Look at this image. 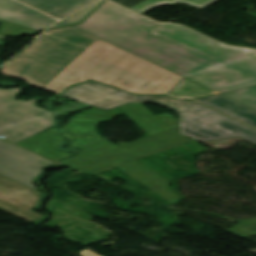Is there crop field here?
<instances>
[{
  "mask_svg": "<svg viewBox=\"0 0 256 256\" xmlns=\"http://www.w3.org/2000/svg\"><path fill=\"white\" fill-rule=\"evenodd\" d=\"M75 27L217 93L256 84V50L155 23L108 0Z\"/></svg>",
  "mask_w": 256,
  "mask_h": 256,
  "instance_id": "crop-field-1",
  "label": "crop field"
},
{
  "mask_svg": "<svg viewBox=\"0 0 256 256\" xmlns=\"http://www.w3.org/2000/svg\"><path fill=\"white\" fill-rule=\"evenodd\" d=\"M119 108L149 137L118 147L95 132V127L105 120L70 119L61 131L70 137L79 154L60 163L94 175L117 167L170 203L181 201L182 198L168 188L169 182L136 160L191 139L178 133L176 118L168 114L154 116L142 104Z\"/></svg>",
  "mask_w": 256,
  "mask_h": 256,
  "instance_id": "crop-field-2",
  "label": "crop field"
},
{
  "mask_svg": "<svg viewBox=\"0 0 256 256\" xmlns=\"http://www.w3.org/2000/svg\"><path fill=\"white\" fill-rule=\"evenodd\" d=\"M182 79L98 39L43 89L60 94L71 84L94 80L135 94H167Z\"/></svg>",
  "mask_w": 256,
  "mask_h": 256,
  "instance_id": "crop-field-3",
  "label": "crop field"
},
{
  "mask_svg": "<svg viewBox=\"0 0 256 256\" xmlns=\"http://www.w3.org/2000/svg\"><path fill=\"white\" fill-rule=\"evenodd\" d=\"M41 42L34 41L13 57L0 71L42 88L97 38L74 27L48 30Z\"/></svg>",
  "mask_w": 256,
  "mask_h": 256,
  "instance_id": "crop-field-4",
  "label": "crop field"
},
{
  "mask_svg": "<svg viewBox=\"0 0 256 256\" xmlns=\"http://www.w3.org/2000/svg\"><path fill=\"white\" fill-rule=\"evenodd\" d=\"M20 88H0V135L17 143L54 125L52 114L38 100L15 101Z\"/></svg>",
  "mask_w": 256,
  "mask_h": 256,
  "instance_id": "crop-field-5",
  "label": "crop field"
},
{
  "mask_svg": "<svg viewBox=\"0 0 256 256\" xmlns=\"http://www.w3.org/2000/svg\"><path fill=\"white\" fill-rule=\"evenodd\" d=\"M179 133L195 141L242 136L256 143V131L194 102L180 100Z\"/></svg>",
  "mask_w": 256,
  "mask_h": 256,
  "instance_id": "crop-field-6",
  "label": "crop field"
},
{
  "mask_svg": "<svg viewBox=\"0 0 256 256\" xmlns=\"http://www.w3.org/2000/svg\"><path fill=\"white\" fill-rule=\"evenodd\" d=\"M61 96L103 110L127 103H152L177 112L179 103L178 99H172L168 96H135L91 81L69 87Z\"/></svg>",
  "mask_w": 256,
  "mask_h": 256,
  "instance_id": "crop-field-7",
  "label": "crop field"
},
{
  "mask_svg": "<svg viewBox=\"0 0 256 256\" xmlns=\"http://www.w3.org/2000/svg\"><path fill=\"white\" fill-rule=\"evenodd\" d=\"M53 162L0 139V175L36 190L31 179L40 173V165Z\"/></svg>",
  "mask_w": 256,
  "mask_h": 256,
  "instance_id": "crop-field-8",
  "label": "crop field"
},
{
  "mask_svg": "<svg viewBox=\"0 0 256 256\" xmlns=\"http://www.w3.org/2000/svg\"><path fill=\"white\" fill-rule=\"evenodd\" d=\"M41 193L0 176V209L30 223L44 220V216L31 211Z\"/></svg>",
  "mask_w": 256,
  "mask_h": 256,
  "instance_id": "crop-field-9",
  "label": "crop field"
},
{
  "mask_svg": "<svg viewBox=\"0 0 256 256\" xmlns=\"http://www.w3.org/2000/svg\"><path fill=\"white\" fill-rule=\"evenodd\" d=\"M23 5L13 0H0V19L39 31L57 21Z\"/></svg>",
  "mask_w": 256,
  "mask_h": 256,
  "instance_id": "crop-field-10",
  "label": "crop field"
},
{
  "mask_svg": "<svg viewBox=\"0 0 256 256\" xmlns=\"http://www.w3.org/2000/svg\"><path fill=\"white\" fill-rule=\"evenodd\" d=\"M197 101L256 128V111L221 94Z\"/></svg>",
  "mask_w": 256,
  "mask_h": 256,
  "instance_id": "crop-field-11",
  "label": "crop field"
},
{
  "mask_svg": "<svg viewBox=\"0 0 256 256\" xmlns=\"http://www.w3.org/2000/svg\"><path fill=\"white\" fill-rule=\"evenodd\" d=\"M59 135L54 126L17 144L32 149L40 155L56 161L59 157L67 156V153L55 150L57 145L62 142L58 137Z\"/></svg>",
  "mask_w": 256,
  "mask_h": 256,
  "instance_id": "crop-field-12",
  "label": "crop field"
},
{
  "mask_svg": "<svg viewBox=\"0 0 256 256\" xmlns=\"http://www.w3.org/2000/svg\"><path fill=\"white\" fill-rule=\"evenodd\" d=\"M41 10L57 19H61L96 0H19Z\"/></svg>",
  "mask_w": 256,
  "mask_h": 256,
  "instance_id": "crop-field-13",
  "label": "crop field"
},
{
  "mask_svg": "<svg viewBox=\"0 0 256 256\" xmlns=\"http://www.w3.org/2000/svg\"><path fill=\"white\" fill-rule=\"evenodd\" d=\"M169 94L173 96H184L193 99L195 97H203L215 94V92L184 78L169 92Z\"/></svg>",
  "mask_w": 256,
  "mask_h": 256,
  "instance_id": "crop-field-14",
  "label": "crop field"
},
{
  "mask_svg": "<svg viewBox=\"0 0 256 256\" xmlns=\"http://www.w3.org/2000/svg\"><path fill=\"white\" fill-rule=\"evenodd\" d=\"M214 1H216V0H146V1L130 8V10L141 14L153 7L160 6V5H166V4H173V3H177V2H181V3L187 4V5L194 6L198 9H201V8L211 4Z\"/></svg>",
  "mask_w": 256,
  "mask_h": 256,
  "instance_id": "crop-field-15",
  "label": "crop field"
},
{
  "mask_svg": "<svg viewBox=\"0 0 256 256\" xmlns=\"http://www.w3.org/2000/svg\"><path fill=\"white\" fill-rule=\"evenodd\" d=\"M223 95L256 110V86L247 87L239 91L225 93Z\"/></svg>",
  "mask_w": 256,
  "mask_h": 256,
  "instance_id": "crop-field-16",
  "label": "crop field"
},
{
  "mask_svg": "<svg viewBox=\"0 0 256 256\" xmlns=\"http://www.w3.org/2000/svg\"><path fill=\"white\" fill-rule=\"evenodd\" d=\"M122 113V111L116 107L108 111H103L96 107L74 117V118H89V119H105L108 120L118 114Z\"/></svg>",
  "mask_w": 256,
  "mask_h": 256,
  "instance_id": "crop-field-17",
  "label": "crop field"
},
{
  "mask_svg": "<svg viewBox=\"0 0 256 256\" xmlns=\"http://www.w3.org/2000/svg\"><path fill=\"white\" fill-rule=\"evenodd\" d=\"M100 2L62 20L61 22L53 25L50 28L63 27L66 25L74 24V23H80L89 13H91L100 4Z\"/></svg>",
  "mask_w": 256,
  "mask_h": 256,
  "instance_id": "crop-field-18",
  "label": "crop field"
},
{
  "mask_svg": "<svg viewBox=\"0 0 256 256\" xmlns=\"http://www.w3.org/2000/svg\"><path fill=\"white\" fill-rule=\"evenodd\" d=\"M230 232L241 237H248L256 235V220L249 222H239V224Z\"/></svg>",
  "mask_w": 256,
  "mask_h": 256,
  "instance_id": "crop-field-19",
  "label": "crop field"
},
{
  "mask_svg": "<svg viewBox=\"0 0 256 256\" xmlns=\"http://www.w3.org/2000/svg\"><path fill=\"white\" fill-rule=\"evenodd\" d=\"M113 1L125 6L127 8H130L144 0H113Z\"/></svg>",
  "mask_w": 256,
  "mask_h": 256,
  "instance_id": "crop-field-20",
  "label": "crop field"
},
{
  "mask_svg": "<svg viewBox=\"0 0 256 256\" xmlns=\"http://www.w3.org/2000/svg\"><path fill=\"white\" fill-rule=\"evenodd\" d=\"M80 256H100L98 254H95L89 250H83L81 252H79Z\"/></svg>",
  "mask_w": 256,
  "mask_h": 256,
  "instance_id": "crop-field-21",
  "label": "crop field"
}]
</instances>
